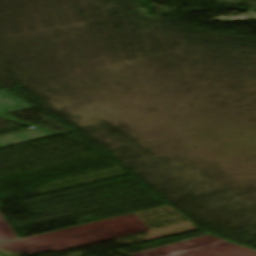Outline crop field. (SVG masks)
I'll return each mask as SVG.
<instances>
[{
  "instance_id": "8a807250",
  "label": "crop field",
  "mask_w": 256,
  "mask_h": 256,
  "mask_svg": "<svg viewBox=\"0 0 256 256\" xmlns=\"http://www.w3.org/2000/svg\"><path fill=\"white\" fill-rule=\"evenodd\" d=\"M149 228L134 214L96 223L0 243L1 249L34 254L46 250L56 252L93 244Z\"/></svg>"
},
{
  "instance_id": "ac0d7876",
  "label": "crop field",
  "mask_w": 256,
  "mask_h": 256,
  "mask_svg": "<svg viewBox=\"0 0 256 256\" xmlns=\"http://www.w3.org/2000/svg\"><path fill=\"white\" fill-rule=\"evenodd\" d=\"M221 241H225V240H221L212 235H208V236H202L195 239L175 243L172 245H168V246H164V247H160V248H156L148 251L134 253L131 256H165V255L170 256L172 254L209 246L210 244H213V243L217 244Z\"/></svg>"
},
{
  "instance_id": "34b2d1b8",
  "label": "crop field",
  "mask_w": 256,
  "mask_h": 256,
  "mask_svg": "<svg viewBox=\"0 0 256 256\" xmlns=\"http://www.w3.org/2000/svg\"><path fill=\"white\" fill-rule=\"evenodd\" d=\"M172 256H256V250L225 241L215 246Z\"/></svg>"
},
{
  "instance_id": "412701ff",
  "label": "crop field",
  "mask_w": 256,
  "mask_h": 256,
  "mask_svg": "<svg viewBox=\"0 0 256 256\" xmlns=\"http://www.w3.org/2000/svg\"><path fill=\"white\" fill-rule=\"evenodd\" d=\"M0 117L7 119V120L17 122V123H21L24 125L33 126V125H30V124H27V123H24V122L15 120V119H11V118H8V117L2 116V115H0ZM33 127L37 128L36 126H33ZM53 135H58V134L48 131V130H45V129H42V128H39V129L32 130V131H27V132L13 134V135L5 136V137H0V148L18 144V143L31 141V140H35V139H39V138L49 137V136H53Z\"/></svg>"
},
{
  "instance_id": "f4fd0767",
  "label": "crop field",
  "mask_w": 256,
  "mask_h": 256,
  "mask_svg": "<svg viewBox=\"0 0 256 256\" xmlns=\"http://www.w3.org/2000/svg\"><path fill=\"white\" fill-rule=\"evenodd\" d=\"M28 108H32V106L6 92L0 93V113L6 114Z\"/></svg>"
},
{
  "instance_id": "dd49c442",
  "label": "crop field",
  "mask_w": 256,
  "mask_h": 256,
  "mask_svg": "<svg viewBox=\"0 0 256 256\" xmlns=\"http://www.w3.org/2000/svg\"><path fill=\"white\" fill-rule=\"evenodd\" d=\"M17 237L5 223L3 218L0 215V242L16 240Z\"/></svg>"
}]
</instances>
